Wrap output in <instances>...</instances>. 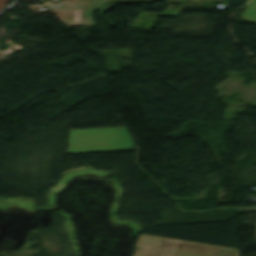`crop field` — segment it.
I'll use <instances>...</instances> for the list:
<instances>
[{
    "instance_id": "1",
    "label": "crop field",
    "mask_w": 256,
    "mask_h": 256,
    "mask_svg": "<svg viewBox=\"0 0 256 256\" xmlns=\"http://www.w3.org/2000/svg\"><path fill=\"white\" fill-rule=\"evenodd\" d=\"M133 256H239V250L139 233Z\"/></svg>"
},
{
    "instance_id": "2",
    "label": "crop field",
    "mask_w": 256,
    "mask_h": 256,
    "mask_svg": "<svg viewBox=\"0 0 256 256\" xmlns=\"http://www.w3.org/2000/svg\"><path fill=\"white\" fill-rule=\"evenodd\" d=\"M133 150L125 127L70 130L67 153Z\"/></svg>"
},
{
    "instance_id": "3",
    "label": "crop field",
    "mask_w": 256,
    "mask_h": 256,
    "mask_svg": "<svg viewBox=\"0 0 256 256\" xmlns=\"http://www.w3.org/2000/svg\"><path fill=\"white\" fill-rule=\"evenodd\" d=\"M106 0L63 1L68 8L49 9L64 25L93 26L90 13Z\"/></svg>"
},
{
    "instance_id": "4",
    "label": "crop field",
    "mask_w": 256,
    "mask_h": 256,
    "mask_svg": "<svg viewBox=\"0 0 256 256\" xmlns=\"http://www.w3.org/2000/svg\"><path fill=\"white\" fill-rule=\"evenodd\" d=\"M243 18L247 21L256 23V0H250L243 13Z\"/></svg>"
},
{
    "instance_id": "5",
    "label": "crop field",
    "mask_w": 256,
    "mask_h": 256,
    "mask_svg": "<svg viewBox=\"0 0 256 256\" xmlns=\"http://www.w3.org/2000/svg\"><path fill=\"white\" fill-rule=\"evenodd\" d=\"M8 0H0V10L5 6Z\"/></svg>"
}]
</instances>
